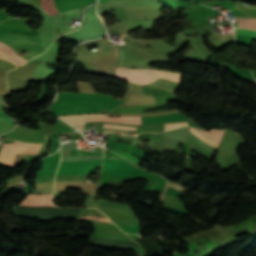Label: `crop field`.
Returning a JSON list of instances; mask_svg holds the SVG:
<instances>
[{
  "label": "crop field",
  "mask_w": 256,
  "mask_h": 256,
  "mask_svg": "<svg viewBox=\"0 0 256 256\" xmlns=\"http://www.w3.org/2000/svg\"><path fill=\"white\" fill-rule=\"evenodd\" d=\"M117 56H119L118 48H117ZM181 76L182 75L180 74H174V73L152 70V69H127V68L118 67L115 77L143 85L158 77L171 79L179 83Z\"/></svg>",
  "instance_id": "8a807250"
},
{
  "label": "crop field",
  "mask_w": 256,
  "mask_h": 256,
  "mask_svg": "<svg viewBox=\"0 0 256 256\" xmlns=\"http://www.w3.org/2000/svg\"><path fill=\"white\" fill-rule=\"evenodd\" d=\"M100 116H106V114L100 115ZM141 118H142V124L188 121L189 126L200 129V127L197 126L192 120H190L188 117L184 116L181 113L162 115L157 117H141ZM141 118L140 117H94L89 121H111V122H117V123L141 124Z\"/></svg>",
  "instance_id": "ac0d7876"
},
{
  "label": "crop field",
  "mask_w": 256,
  "mask_h": 256,
  "mask_svg": "<svg viewBox=\"0 0 256 256\" xmlns=\"http://www.w3.org/2000/svg\"><path fill=\"white\" fill-rule=\"evenodd\" d=\"M191 132L199 137L204 142L211 144L215 147L219 144L222 134L224 131H202V130H196L193 128H190Z\"/></svg>",
  "instance_id": "34b2d1b8"
},
{
  "label": "crop field",
  "mask_w": 256,
  "mask_h": 256,
  "mask_svg": "<svg viewBox=\"0 0 256 256\" xmlns=\"http://www.w3.org/2000/svg\"><path fill=\"white\" fill-rule=\"evenodd\" d=\"M51 198H52V195H49V194L28 195L19 204L31 205V206H53L52 203H51Z\"/></svg>",
  "instance_id": "412701ff"
},
{
  "label": "crop field",
  "mask_w": 256,
  "mask_h": 256,
  "mask_svg": "<svg viewBox=\"0 0 256 256\" xmlns=\"http://www.w3.org/2000/svg\"><path fill=\"white\" fill-rule=\"evenodd\" d=\"M0 57L3 59L13 61L17 65H22L25 62H27V60L16 55L15 51H13L9 46H7L1 42H0Z\"/></svg>",
  "instance_id": "f4fd0767"
},
{
  "label": "crop field",
  "mask_w": 256,
  "mask_h": 256,
  "mask_svg": "<svg viewBox=\"0 0 256 256\" xmlns=\"http://www.w3.org/2000/svg\"><path fill=\"white\" fill-rule=\"evenodd\" d=\"M98 115V114H88V115H75V116H59L74 127L83 126L84 122L87 121L89 118ZM82 131V128H77Z\"/></svg>",
  "instance_id": "dd49c442"
},
{
  "label": "crop field",
  "mask_w": 256,
  "mask_h": 256,
  "mask_svg": "<svg viewBox=\"0 0 256 256\" xmlns=\"http://www.w3.org/2000/svg\"><path fill=\"white\" fill-rule=\"evenodd\" d=\"M112 147L111 148H121V149H125V150H128V151H131L133 152L134 154L138 155L143 161H146V160H149L146 156H145V152L143 151H140L130 145H127L125 143H118V142H115V141H112ZM130 152V153H131ZM132 153V154H133Z\"/></svg>",
  "instance_id": "e52e79f7"
},
{
  "label": "crop field",
  "mask_w": 256,
  "mask_h": 256,
  "mask_svg": "<svg viewBox=\"0 0 256 256\" xmlns=\"http://www.w3.org/2000/svg\"><path fill=\"white\" fill-rule=\"evenodd\" d=\"M101 210V209H99ZM109 219H121V220H137L133 213H123L101 210Z\"/></svg>",
  "instance_id": "d8731c3e"
},
{
  "label": "crop field",
  "mask_w": 256,
  "mask_h": 256,
  "mask_svg": "<svg viewBox=\"0 0 256 256\" xmlns=\"http://www.w3.org/2000/svg\"><path fill=\"white\" fill-rule=\"evenodd\" d=\"M156 106H158V104L117 107V108H115L114 110H112V111H110L108 113H120V112L142 113L141 108L156 107Z\"/></svg>",
  "instance_id": "5a996713"
},
{
  "label": "crop field",
  "mask_w": 256,
  "mask_h": 256,
  "mask_svg": "<svg viewBox=\"0 0 256 256\" xmlns=\"http://www.w3.org/2000/svg\"><path fill=\"white\" fill-rule=\"evenodd\" d=\"M88 222L94 223L95 228H99V229H105V230H109V231H113V232H118V233H123L118 227H116L115 225L112 224H107V223H102V222H96V221H92V220H88ZM124 234V233H123Z\"/></svg>",
  "instance_id": "3316defc"
},
{
  "label": "crop field",
  "mask_w": 256,
  "mask_h": 256,
  "mask_svg": "<svg viewBox=\"0 0 256 256\" xmlns=\"http://www.w3.org/2000/svg\"><path fill=\"white\" fill-rule=\"evenodd\" d=\"M239 27L256 29V19L236 17Z\"/></svg>",
  "instance_id": "28ad6ade"
},
{
  "label": "crop field",
  "mask_w": 256,
  "mask_h": 256,
  "mask_svg": "<svg viewBox=\"0 0 256 256\" xmlns=\"http://www.w3.org/2000/svg\"><path fill=\"white\" fill-rule=\"evenodd\" d=\"M179 126H188V124H187V122H184V123H169V124H165L164 130L176 128V127H179Z\"/></svg>",
  "instance_id": "d1516ede"
},
{
  "label": "crop field",
  "mask_w": 256,
  "mask_h": 256,
  "mask_svg": "<svg viewBox=\"0 0 256 256\" xmlns=\"http://www.w3.org/2000/svg\"><path fill=\"white\" fill-rule=\"evenodd\" d=\"M236 31H237L238 34L256 36V31H255V30L236 29ZM236 31H235V32H236Z\"/></svg>",
  "instance_id": "22f410ed"
},
{
  "label": "crop field",
  "mask_w": 256,
  "mask_h": 256,
  "mask_svg": "<svg viewBox=\"0 0 256 256\" xmlns=\"http://www.w3.org/2000/svg\"><path fill=\"white\" fill-rule=\"evenodd\" d=\"M0 121H4V122H8V123L14 124L13 119H11V118H9V117L1 114V113H0Z\"/></svg>",
  "instance_id": "cbeb9de0"
},
{
  "label": "crop field",
  "mask_w": 256,
  "mask_h": 256,
  "mask_svg": "<svg viewBox=\"0 0 256 256\" xmlns=\"http://www.w3.org/2000/svg\"><path fill=\"white\" fill-rule=\"evenodd\" d=\"M104 127H108V128H121V129H127V130H136V128H122V127H114V126H107V125H104Z\"/></svg>",
  "instance_id": "5142ce71"
},
{
  "label": "crop field",
  "mask_w": 256,
  "mask_h": 256,
  "mask_svg": "<svg viewBox=\"0 0 256 256\" xmlns=\"http://www.w3.org/2000/svg\"><path fill=\"white\" fill-rule=\"evenodd\" d=\"M98 151H102V149H99Z\"/></svg>",
  "instance_id": "d9b57169"
},
{
  "label": "crop field",
  "mask_w": 256,
  "mask_h": 256,
  "mask_svg": "<svg viewBox=\"0 0 256 256\" xmlns=\"http://www.w3.org/2000/svg\"><path fill=\"white\" fill-rule=\"evenodd\" d=\"M86 20V17H85V19H84V21Z\"/></svg>",
  "instance_id": "733c2abd"
},
{
  "label": "crop field",
  "mask_w": 256,
  "mask_h": 256,
  "mask_svg": "<svg viewBox=\"0 0 256 256\" xmlns=\"http://www.w3.org/2000/svg\"><path fill=\"white\" fill-rule=\"evenodd\" d=\"M72 28H74V27H72ZM76 29V28H75Z\"/></svg>",
  "instance_id": "4a817a6b"
},
{
  "label": "crop field",
  "mask_w": 256,
  "mask_h": 256,
  "mask_svg": "<svg viewBox=\"0 0 256 256\" xmlns=\"http://www.w3.org/2000/svg\"><path fill=\"white\" fill-rule=\"evenodd\" d=\"M74 149V148H73Z\"/></svg>",
  "instance_id": "bc2a9ffb"
}]
</instances>
